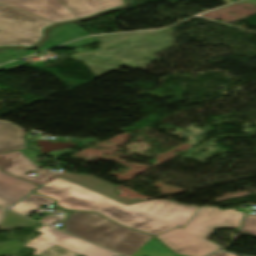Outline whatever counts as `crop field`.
Returning a JSON list of instances; mask_svg holds the SVG:
<instances>
[{
	"instance_id": "obj_1",
	"label": "crop field",
	"mask_w": 256,
	"mask_h": 256,
	"mask_svg": "<svg viewBox=\"0 0 256 256\" xmlns=\"http://www.w3.org/2000/svg\"><path fill=\"white\" fill-rule=\"evenodd\" d=\"M37 193L58 200L57 205L70 210L96 211L122 225L154 236L178 226L183 228L198 209L171 201H146L126 206L60 177Z\"/></svg>"
},
{
	"instance_id": "obj_2",
	"label": "crop field",
	"mask_w": 256,
	"mask_h": 256,
	"mask_svg": "<svg viewBox=\"0 0 256 256\" xmlns=\"http://www.w3.org/2000/svg\"><path fill=\"white\" fill-rule=\"evenodd\" d=\"M217 207H199L187 225L157 236L178 254L205 256L220 248V245L205 240L215 228H238L244 212L237 209L222 210Z\"/></svg>"
},
{
	"instance_id": "obj_3",
	"label": "crop field",
	"mask_w": 256,
	"mask_h": 256,
	"mask_svg": "<svg viewBox=\"0 0 256 256\" xmlns=\"http://www.w3.org/2000/svg\"><path fill=\"white\" fill-rule=\"evenodd\" d=\"M63 222L62 230L127 256H132L153 237L121 227L96 213L74 212Z\"/></svg>"
},
{
	"instance_id": "obj_4",
	"label": "crop field",
	"mask_w": 256,
	"mask_h": 256,
	"mask_svg": "<svg viewBox=\"0 0 256 256\" xmlns=\"http://www.w3.org/2000/svg\"><path fill=\"white\" fill-rule=\"evenodd\" d=\"M55 23L0 4V47L33 46L42 30Z\"/></svg>"
},
{
	"instance_id": "obj_5",
	"label": "crop field",
	"mask_w": 256,
	"mask_h": 256,
	"mask_svg": "<svg viewBox=\"0 0 256 256\" xmlns=\"http://www.w3.org/2000/svg\"><path fill=\"white\" fill-rule=\"evenodd\" d=\"M37 231L43 234L31 242L27 240L28 243L24 245L36 249L34 256L40 255L55 244L82 256H120L46 226Z\"/></svg>"
},
{
	"instance_id": "obj_6",
	"label": "crop field",
	"mask_w": 256,
	"mask_h": 256,
	"mask_svg": "<svg viewBox=\"0 0 256 256\" xmlns=\"http://www.w3.org/2000/svg\"><path fill=\"white\" fill-rule=\"evenodd\" d=\"M0 3L55 23L77 19L59 0H0Z\"/></svg>"
},
{
	"instance_id": "obj_7",
	"label": "crop field",
	"mask_w": 256,
	"mask_h": 256,
	"mask_svg": "<svg viewBox=\"0 0 256 256\" xmlns=\"http://www.w3.org/2000/svg\"><path fill=\"white\" fill-rule=\"evenodd\" d=\"M0 169L7 174L21 178L39 186L43 185L44 183L58 175L49 171L48 169L34 171L35 173H39V175L36 177H29L25 175V172L37 169V167L32 164L19 151L1 154Z\"/></svg>"
},
{
	"instance_id": "obj_8",
	"label": "crop field",
	"mask_w": 256,
	"mask_h": 256,
	"mask_svg": "<svg viewBox=\"0 0 256 256\" xmlns=\"http://www.w3.org/2000/svg\"><path fill=\"white\" fill-rule=\"evenodd\" d=\"M37 187L0 171V206H11Z\"/></svg>"
},
{
	"instance_id": "obj_9",
	"label": "crop field",
	"mask_w": 256,
	"mask_h": 256,
	"mask_svg": "<svg viewBox=\"0 0 256 256\" xmlns=\"http://www.w3.org/2000/svg\"><path fill=\"white\" fill-rule=\"evenodd\" d=\"M60 177L69 180L73 183H76L80 186L89 188L91 190L97 191L113 200H116L118 202L124 203L126 205L145 201L147 199H125V198H119L117 197V194L114 193L115 187L100 181L94 177L85 176V175H78V174H71V173H64L60 175Z\"/></svg>"
},
{
	"instance_id": "obj_10",
	"label": "crop field",
	"mask_w": 256,
	"mask_h": 256,
	"mask_svg": "<svg viewBox=\"0 0 256 256\" xmlns=\"http://www.w3.org/2000/svg\"><path fill=\"white\" fill-rule=\"evenodd\" d=\"M80 19L124 5L122 0H60Z\"/></svg>"
},
{
	"instance_id": "obj_11",
	"label": "crop field",
	"mask_w": 256,
	"mask_h": 256,
	"mask_svg": "<svg viewBox=\"0 0 256 256\" xmlns=\"http://www.w3.org/2000/svg\"><path fill=\"white\" fill-rule=\"evenodd\" d=\"M23 148L26 147L20 129L9 123L0 122V152Z\"/></svg>"
},
{
	"instance_id": "obj_12",
	"label": "crop field",
	"mask_w": 256,
	"mask_h": 256,
	"mask_svg": "<svg viewBox=\"0 0 256 256\" xmlns=\"http://www.w3.org/2000/svg\"><path fill=\"white\" fill-rule=\"evenodd\" d=\"M53 203L56 202L47 197L40 196L34 193L31 196L19 202L18 204H16L15 206H13L12 208H10V210L26 216L40 206L49 205Z\"/></svg>"
},
{
	"instance_id": "obj_13",
	"label": "crop field",
	"mask_w": 256,
	"mask_h": 256,
	"mask_svg": "<svg viewBox=\"0 0 256 256\" xmlns=\"http://www.w3.org/2000/svg\"><path fill=\"white\" fill-rule=\"evenodd\" d=\"M36 222L18 216L7 211V214L0 226V230H8L16 227H34Z\"/></svg>"
},
{
	"instance_id": "obj_14",
	"label": "crop field",
	"mask_w": 256,
	"mask_h": 256,
	"mask_svg": "<svg viewBox=\"0 0 256 256\" xmlns=\"http://www.w3.org/2000/svg\"><path fill=\"white\" fill-rule=\"evenodd\" d=\"M240 232L243 234H246V232L250 233L246 235H256V215H247Z\"/></svg>"
},
{
	"instance_id": "obj_15",
	"label": "crop field",
	"mask_w": 256,
	"mask_h": 256,
	"mask_svg": "<svg viewBox=\"0 0 256 256\" xmlns=\"http://www.w3.org/2000/svg\"><path fill=\"white\" fill-rule=\"evenodd\" d=\"M40 256H79V255L55 245L49 250H47L46 252H44L43 254H41Z\"/></svg>"
},
{
	"instance_id": "obj_16",
	"label": "crop field",
	"mask_w": 256,
	"mask_h": 256,
	"mask_svg": "<svg viewBox=\"0 0 256 256\" xmlns=\"http://www.w3.org/2000/svg\"><path fill=\"white\" fill-rule=\"evenodd\" d=\"M211 256H235V255L228 254V253H216V254L211 255Z\"/></svg>"
},
{
	"instance_id": "obj_17",
	"label": "crop field",
	"mask_w": 256,
	"mask_h": 256,
	"mask_svg": "<svg viewBox=\"0 0 256 256\" xmlns=\"http://www.w3.org/2000/svg\"><path fill=\"white\" fill-rule=\"evenodd\" d=\"M5 213H6L5 210L0 209V224H1L2 220H3V217H4Z\"/></svg>"
}]
</instances>
